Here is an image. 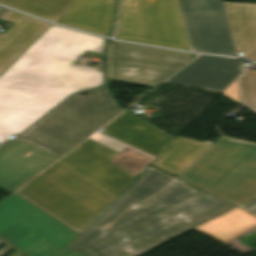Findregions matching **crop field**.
Returning a JSON list of instances; mask_svg holds the SVG:
<instances>
[{"mask_svg":"<svg viewBox=\"0 0 256 256\" xmlns=\"http://www.w3.org/2000/svg\"><path fill=\"white\" fill-rule=\"evenodd\" d=\"M75 1L0 0V3L55 22Z\"/></svg>","mask_w":256,"mask_h":256,"instance_id":"733c2abd","label":"crop field"},{"mask_svg":"<svg viewBox=\"0 0 256 256\" xmlns=\"http://www.w3.org/2000/svg\"><path fill=\"white\" fill-rule=\"evenodd\" d=\"M242 75L245 107L256 113V70H243Z\"/></svg>","mask_w":256,"mask_h":256,"instance_id":"4a817a6b","label":"crop field"},{"mask_svg":"<svg viewBox=\"0 0 256 256\" xmlns=\"http://www.w3.org/2000/svg\"><path fill=\"white\" fill-rule=\"evenodd\" d=\"M223 95L242 105L241 92L238 77L222 92Z\"/></svg>","mask_w":256,"mask_h":256,"instance_id":"bc2a9ffb","label":"crop field"},{"mask_svg":"<svg viewBox=\"0 0 256 256\" xmlns=\"http://www.w3.org/2000/svg\"><path fill=\"white\" fill-rule=\"evenodd\" d=\"M190 51L237 56L223 0H179Z\"/></svg>","mask_w":256,"mask_h":256,"instance_id":"d8731c3e","label":"crop field"},{"mask_svg":"<svg viewBox=\"0 0 256 256\" xmlns=\"http://www.w3.org/2000/svg\"><path fill=\"white\" fill-rule=\"evenodd\" d=\"M4 10V8L0 7V13Z\"/></svg>","mask_w":256,"mask_h":256,"instance_id":"dafd665d","label":"crop field"},{"mask_svg":"<svg viewBox=\"0 0 256 256\" xmlns=\"http://www.w3.org/2000/svg\"><path fill=\"white\" fill-rule=\"evenodd\" d=\"M192 59L191 54L111 41L108 79L154 87Z\"/></svg>","mask_w":256,"mask_h":256,"instance_id":"e52e79f7","label":"crop field"},{"mask_svg":"<svg viewBox=\"0 0 256 256\" xmlns=\"http://www.w3.org/2000/svg\"><path fill=\"white\" fill-rule=\"evenodd\" d=\"M103 134L157 157L174 139L127 112L103 127Z\"/></svg>","mask_w":256,"mask_h":256,"instance_id":"28ad6ade","label":"crop field"},{"mask_svg":"<svg viewBox=\"0 0 256 256\" xmlns=\"http://www.w3.org/2000/svg\"><path fill=\"white\" fill-rule=\"evenodd\" d=\"M75 94L0 151V187L12 191L120 111L106 87Z\"/></svg>","mask_w":256,"mask_h":256,"instance_id":"412701ff","label":"crop field"},{"mask_svg":"<svg viewBox=\"0 0 256 256\" xmlns=\"http://www.w3.org/2000/svg\"><path fill=\"white\" fill-rule=\"evenodd\" d=\"M0 20L14 22L0 35V75L36 40L51 24L15 13L9 9Z\"/></svg>","mask_w":256,"mask_h":256,"instance_id":"d1516ede","label":"crop field"},{"mask_svg":"<svg viewBox=\"0 0 256 256\" xmlns=\"http://www.w3.org/2000/svg\"><path fill=\"white\" fill-rule=\"evenodd\" d=\"M240 73L236 59L200 55L165 82L222 92Z\"/></svg>","mask_w":256,"mask_h":256,"instance_id":"3316defc","label":"crop field"},{"mask_svg":"<svg viewBox=\"0 0 256 256\" xmlns=\"http://www.w3.org/2000/svg\"><path fill=\"white\" fill-rule=\"evenodd\" d=\"M114 38L189 50L177 0H121Z\"/></svg>","mask_w":256,"mask_h":256,"instance_id":"dd49c442","label":"crop field"},{"mask_svg":"<svg viewBox=\"0 0 256 256\" xmlns=\"http://www.w3.org/2000/svg\"><path fill=\"white\" fill-rule=\"evenodd\" d=\"M208 146L209 144L178 137L166 147L152 165L177 176Z\"/></svg>","mask_w":256,"mask_h":256,"instance_id":"5142ce71","label":"crop field"},{"mask_svg":"<svg viewBox=\"0 0 256 256\" xmlns=\"http://www.w3.org/2000/svg\"><path fill=\"white\" fill-rule=\"evenodd\" d=\"M13 224L31 232L13 245L22 252L42 237L66 248L79 235L14 193L0 201V233ZM59 256L85 255L66 248Z\"/></svg>","mask_w":256,"mask_h":256,"instance_id":"5a996713","label":"crop field"},{"mask_svg":"<svg viewBox=\"0 0 256 256\" xmlns=\"http://www.w3.org/2000/svg\"><path fill=\"white\" fill-rule=\"evenodd\" d=\"M0 147H2V145H0Z\"/></svg>","mask_w":256,"mask_h":256,"instance_id":"00972430","label":"crop field"},{"mask_svg":"<svg viewBox=\"0 0 256 256\" xmlns=\"http://www.w3.org/2000/svg\"><path fill=\"white\" fill-rule=\"evenodd\" d=\"M115 2L116 0H77L56 23L108 36Z\"/></svg>","mask_w":256,"mask_h":256,"instance_id":"22f410ed","label":"crop field"},{"mask_svg":"<svg viewBox=\"0 0 256 256\" xmlns=\"http://www.w3.org/2000/svg\"><path fill=\"white\" fill-rule=\"evenodd\" d=\"M104 38L52 25L0 76V143L71 92L102 83L101 72L68 67Z\"/></svg>","mask_w":256,"mask_h":256,"instance_id":"ac0d7876","label":"crop field"},{"mask_svg":"<svg viewBox=\"0 0 256 256\" xmlns=\"http://www.w3.org/2000/svg\"><path fill=\"white\" fill-rule=\"evenodd\" d=\"M180 178L238 206L256 197V143L221 135Z\"/></svg>","mask_w":256,"mask_h":256,"instance_id":"f4fd0767","label":"crop field"},{"mask_svg":"<svg viewBox=\"0 0 256 256\" xmlns=\"http://www.w3.org/2000/svg\"><path fill=\"white\" fill-rule=\"evenodd\" d=\"M174 177L149 166L68 248L86 256H136L235 205L179 179L150 197Z\"/></svg>","mask_w":256,"mask_h":256,"instance_id":"8a807250","label":"crop field"},{"mask_svg":"<svg viewBox=\"0 0 256 256\" xmlns=\"http://www.w3.org/2000/svg\"><path fill=\"white\" fill-rule=\"evenodd\" d=\"M224 4L236 51L256 61V4Z\"/></svg>","mask_w":256,"mask_h":256,"instance_id":"cbeb9de0","label":"crop field"},{"mask_svg":"<svg viewBox=\"0 0 256 256\" xmlns=\"http://www.w3.org/2000/svg\"><path fill=\"white\" fill-rule=\"evenodd\" d=\"M255 225L256 217L237 207L194 230L223 242Z\"/></svg>","mask_w":256,"mask_h":256,"instance_id":"d9b57169","label":"crop field"},{"mask_svg":"<svg viewBox=\"0 0 256 256\" xmlns=\"http://www.w3.org/2000/svg\"><path fill=\"white\" fill-rule=\"evenodd\" d=\"M127 147L96 132L14 193L80 234L134 178L110 163Z\"/></svg>","mask_w":256,"mask_h":256,"instance_id":"34b2d1b8","label":"crop field"},{"mask_svg":"<svg viewBox=\"0 0 256 256\" xmlns=\"http://www.w3.org/2000/svg\"><path fill=\"white\" fill-rule=\"evenodd\" d=\"M239 207L256 216V198L240 205Z\"/></svg>","mask_w":256,"mask_h":256,"instance_id":"214f88e0","label":"crop field"},{"mask_svg":"<svg viewBox=\"0 0 256 256\" xmlns=\"http://www.w3.org/2000/svg\"><path fill=\"white\" fill-rule=\"evenodd\" d=\"M12 256H27L23 254L21 251H16Z\"/></svg>","mask_w":256,"mask_h":256,"instance_id":"92a150f3","label":"crop field"}]
</instances>
